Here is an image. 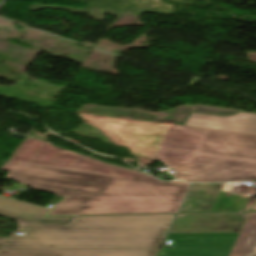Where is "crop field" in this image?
I'll return each instance as SVG.
<instances>
[{"label":"crop field","instance_id":"34b2d1b8","mask_svg":"<svg viewBox=\"0 0 256 256\" xmlns=\"http://www.w3.org/2000/svg\"><path fill=\"white\" fill-rule=\"evenodd\" d=\"M0 170L6 178L50 194L66 197L48 214H76L118 177L9 161Z\"/></svg>","mask_w":256,"mask_h":256},{"label":"crop field","instance_id":"5a996713","mask_svg":"<svg viewBox=\"0 0 256 256\" xmlns=\"http://www.w3.org/2000/svg\"><path fill=\"white\" fill-rule=\"evenodd\" d=\"M46 209L0 197V215L36 223L65 224L72 217H41ZM35 224V225H36Z\"/></svg>","mask_w":256,"mask_h":256},{"label":"crop field","instance_id":"d8731c3e","mask_svg":"<svg viewBox=\"0 0 256 256\" xmlns=\"http://www.w3.org/2000/svg\"><path fill=\"white\" fill-rule=\"evenodd\" d=\"M186 125L256 134V114L242 112L222 117L193 113Z\"/></svg>","mask_w":256,"mask_h":256},{"label":"crop field","instance_id":"dd49c442","mask_svg":"<svg viewBox=\"0 0 256 256\" xmlns=\"http://www.w3.org/2000/svg\"><path fill=\"white\" fill-rule=\"evenodd\" d=\"M99 131L119 134L136 155L157 158L172 125L80 113Z\"/></svg>","mask_w":256,"mask_h":256},{"label":"crop field","instance_id":"d1516ede","mask_svg":"<svg viewBox=\"0 0 256 256\" xmlns=\"http://www.w3.org/2000/svg\"><path fill=\"white\" fill-rule=\"evenodd\" d=\"M220 193L227 194L221 207H220V209L223 210L231 193L223 192V191H221ZM234 195H239V194H234Z\"/></svg>","mask_w":256,"mask_h":256},{"label":"crop field","instance_id":"28ad6ade","mask_svg":"<svg viewBox=\"0 0 256 256\" xmlns=\"http://www.w3.org/2000/svg\"><path fill=\"white\" fill-rule=\"evenodd\" d=\"M229 256H256V213H250Z\"/></svg>","mask_w":256,"mask_h":256},{"label":"crop field","instance_id":"3316defc","mask_svg":"<svg viewBox=\"0 0 256 256\" xmlns=\"http://www.w3.org/2000/svg\"><path fill=\"white\" fill-rule=\"evenodd\" d=\"M223 184H193L180 212L211 211Z\"/></svg>","mask_w":256,"mask_h":256},{"label":"crop field","instance_id":"8a807250","mask_svg":"<svg viewBox=\"0 0 256 256\" xmlns=\"http://www.w3.org/2000/svg\"><path fill=\"white\" fill-rule=\"evenodd\" d=\"M176 214L75 217L66 226H25L0 256H157ZM165 240V239H164Z\"/></svg>","mask_w":256,"mask_h":256},{"label":"crop field","instance_id":"cbeb9de0","mask_svg":"<svg viewBox=\"0 0 256 256\" xmlns=\"http://www.w3.org/2000/svg\"><path fill=\"white\" fill-rule=\"evenodd\" d=\"M6 239L0 238V245L5 241Z\"/></svg>","mask_w":256,"mask_h":256},{"label":"crop field","instance_id":"ac0d7876","mask_svg":"<svg viewBox=\"0 0 256 256\" xmlns=\"http://www.w3.org/2000/svg\"><path fill=\"white\" fill-rule=\"evenodd\" d=\"M158 157L186 182L256 180V135L173 125Z\"/></svg>","mask_w":256,"mask_h":256},{"label":"crop field","instance_id":"412701ff","mask_svg":"<svg viewBox=\"0 0 256 256\" xmlns=\"http://www.w3.org/2000/svg\"><path fill=\"white\" fill-rule=\"evenodd\" d=\"M190 184L118 178L78 214L177 212Z\"/></svg>","mask_w":256,"mask_h":256},{"label":"crop field","instance_id":"f4fd0767","mask_svg":"<svg viewBox=\"0 0 256 256\" xmlns=\"http://www.w3.org/2000/svg\"><path fill=\"white\" fill-rule=\"evenodd\" d=\"M11 160L112 174L122 178L136 180L148 177V175L144 173H138L131 169L109 165L77 153L55 148L51 143L31 138H28L23 142Z\"/></svg>","mask_w":256,"mask_h":256},{"label":"crop field","instance_id":"e52e79f7","mask_svg":"<svg viewBox=\"0 0 256 256\" xmlns=\"http://www.w3.org/2000/svg\"><path fill=\"white\" fill-rule=\"evenodd\" d=\"M248 214H179L170 233L240 232Z\"/></svg>","mask_w":256,"mask_h":256},{"label":"crop field","instance_id":"22f410ed","mask_svg":"<svg viewBox=\"0 0 256 256\" xmlns=\"http://www.w3.org/2000/svg\"><path fill=\"white\" fill-rule=\"evenodd\" d=\"M251 210H256V201H255V203H254V205H253Z\"/></svg>","mask_w":256,"mask_h":256}]
</instances>
